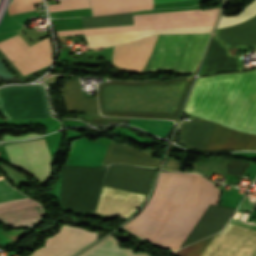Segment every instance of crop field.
I'll list each match as a JSON object with an SVG mask.
<instances>
[{
	"label": "crop field",
	"instance_id": "crop-field-29",
	"mask_svg": "<svg viewBox=\"0 0 256 256\" xmlns=\"http://www.w3.org/2000/svg\"><path fill=\"white\" fill-rule=\"evenodd\" d=\"M42 2V0H13L8 8L9 14H16L35 9L32 3Z\"/></svg>",
	"mask_w": 256,
	"mask_h": 256
},
{
	"label": "crop field",
	"instance_id": "crop-field-30",
	"mask_svg": "<svg viewBox=\"0 0 256 256\" xmlns=\"http://www.w3.org/2000/svg\"><path fill=\"white\" fill-rule=\"evenodd\" d=\"M249 164L241 161H227V174L243 176Z\"/></svg>",
	"mask_w": 256,
	"mask_h": 256
},
{
	"label": "crop field",
	"instance_id": "crop-field-28",
	"mask_svg": "<svg viewBox=\"0 0 256 256\" xmlns=\"http://www.w3.org/2000/svg\"><path fill=\"white\" fill-rule=\"evenodd\" d=\"M49 12L67 10V9H80L90 8L88 0H62L59 4L48 5Z\"/></svg>",
	"mask_w": 256,
	"mask_h": 256
},
{
	"label": "crop field",
	"instance_id": "crop-field-3",
	"mask_svg": "<svg viewBox=\"0 0 256 256\" xmlns=\"http://www.w3.org/2000/svg\"><path fill=\"white\" fill-rule=\"evenodd\" d=\"M192 77L168 82L98 84L102 115L176 120Z\"/></svg>",
	"mask_w": 256,
	"mask_h": 256
},
{
	"label": "crop field",
	"instance_id": "crop-field-10",
	"mask_svg": "<svg viewBox=\"0 0 256 256\" xmlns=\"http://www.w3.org/2000/svg\"><path fill=\"white\" fill-rule=\"evenodd\" d=\"M11 163L24 169L42 185L51 172V159L43 139L4 146Z\"/></svg>",
	"mask_w": 256,
	"mask_h": 256
},
{
	"label": "crop field",
	"instance_id": "crop-field-18",
	"mask_svg": "<svg viewBox=\"0 0 256 256\" xmlns=\"http://www.w3.org/2000/svg\"><path fill=\"white\" fill-rule=\"evenodd\" d=\"M216 36L227 48L256 47V16L239 25L217 30ZM235 49H229L230 53L234 55Z\"/></svg>",
	"mask_w": 256,
	"mask_h": 256
},
{
	"label": "crop field",
	"instance_id": "crop-field-12",
	"mask_svg": "<svg viewBox=\"0 0 256 256\" xmlns=\"http://www.w3.org/2000/svg\"><path fill=\"white\" fill-rule=\"evenodd\" d=\"M97 238V233L63 225L58 233L47 238L45 245L30 256H71Z\"/></svg>",
	"mask_w": 256,
	"mask_h": 256
},
{
	"label": "crop field",
	"instance_id": "crop-field-15",
	"mask_svg": "<svg viewBox=\"0 0 256 256\" xmlns=\"http://www.w3.org/2000/svg\"><path fill=\"white\" fill-rule=\"evenodd\" d=\"M234 210V208L209 205L180 248L222 230Z\"/></svg>",
	"mask_w": 256,
	"mask_h": 256
},
{
	"label": "crop field",
	"instance_id": "crop-field-8",
	"mask_svg": "<svg viewBox=\"0 0 256 256\" xmlns=\"http://www.w3.org/2000/svg\"><path fill=\"white\" fill-rule=\"evenodd\" d=\"M21 194L4 180H0V201ZM23 194L0 202V220L13 227H31L43 215L42 207Z\"/></svg>",
	"mask_w": 256,
	"mask_h": 256
},
{
	"label": "crop field",
	"instance_id": "crop-field-21",
	"mask_svg": "<svg viewBox=\"0 0 256 256\" xmlns=\"http://www.w3.org/2000/svg\"><path fill=\"white\" fill-rule=\"evenodd\" d=\"M62 96L67 112L85 110L99 115L96 97H83L78 79L66 80L62 88Z\"/></svg>",
	"mask_w": 256,
	"mask_h": 256
},
{
	"label": "crop field",
	"instance_id": "crop-field-13",
	"mask_svg": "<svg viewBox=\"0 0 256 256\" xmlns=\"http://www.w3.org/2000/svg\"><path fill=\"white\" fill-rule=\"evenodd\" d=\"M155 173L154 170L115 164L109 166L103 185L146 195Z\"/></svg>",
	"mask_w": 256,
	"mask_h": 256
},
{
	"label": "crop field",
	"instance_id": "crop-field-32",
	"mask_svg": "<svg viewBox=\"0 0 256 256\" xmlns=\"http://www.w3.org/2000/svg\"><path fill=\"white\" fill-rule=\"evenodd\" d=\"M3 178H4V176L2 174H0V179H3Z\"/></svg>",
	"mask_w": 256,
	"mask_h": 256
},
{
	"label": "crop field",
	"instance_id": "crop-field-24",
	"mask_svg": "<svg viewBox=\"0 0 256 256\" xmlns=\"http://www.w3.org/2000/svg\"><path fill=\"white\" fill-rule=\"evenodd\" d=\"M119 241L108 236L78 256H149L148 254H131V250L118 248Z\"/></svg>",
	"mask_w": 256,
	"mask_h": 256
},
{
	"label": "crop field",
	"instance_id": "crop-field-5",
	"mask_svg": "<svg viewBox=\"0 0 256 256\" xmlns=\"http://www.w3.org/2000/svg\"><path fill=\"white\" fill-rule=\"evenodd\" d=\"M219 8L160 12L133 15L134 25L57 31L58 36L84 33V35L141 31L171 27L212 25ZM212 26L171 28L141 32L85 36L92 47L125 43L160 33L210 32Z\"/></svg>",
	"mask_w": 256,
	"mask_h": 256
},
{
	"label": "crop field",
	"instance_id": "crop-field-23",
	"mask_svg": "<svg viewBox=\"0 0 256 256\" xmlns=\"http://www.w3.org/2000/svg\"><path fill=\"white\" fill-rule=\"evenodd\" d=\"M214 125L205 121H184L181 142L203 149Z\"/></svg>",
	"mask_w": 256,
	"mask_h": 256
},
{
	"label": "crop field",
	"instance_id": "crop-field-4",
	"mask_svg": "<svg viewBox=\"0 0 256 256\" xmlns=\"http://www.w3.org/2000/svg\"><path fill=\"white\" fill-rule=\"evenodd\" d=\"M210 34L159 35L114 47L113 64L143 72L193 74Z\"/></svg>",
	"mask_w": 256,
	"mask_h": 256
},
{
	"label": "crop field",
	"instance_id": "crop-field-11",
	"mask_svg": "<svg viewBox=\"0 0 256 256\" xmlns=\"http://www.w3.org/2000/svg\"><path fill=\"white\" fill-rule=\"evenodd\" d=\"M0 43L28 74L51 64L52 52L48 37L30 47L18 34Z\"/></svg>",
	"mask_w": 256,
	"mask_h": 256
},
{
	"label": "crop field",
	"instance_id": "crop-field-9",
	"mask_svg": "<svg viewBox=\"0 0 256 256\" xmlns=\"http://www.w3.org/2000/svg\"><path fill=\"white\" fill-rule=\"evenodd\" d=\"M201 256H256V231L228 223Z\"/></svg>",
	"mask_w": 256,
	"mask_h": 256
},
{
	"label": "crop field",
	"instance_id": "crop-field-2",
	"mask_svg": "<svg viewBox=\"0 0 256 256\" xmlns=\"http://www.w3.org/2000/svg\"><path fill=\"white\" fill-rule=\"evenodd\" d=\"M183 112L256 134V70L198 78Z\"/></svg>",
	"mask_w": 256,
	"mask_h": 256
},
{
	"label": "crop field",
	"instance_id": "crop-field-25",
	"mask_svg": "<svg viewBox=\"0 0 256 256\" xmlns=\"http://www.w3.org/2000/svg\"><path fill=\"white\" fill-rule=\"evenodd\" d=\"M130 123L139 125L160 136H166L173 125V122L150 119H130Z\"/></svg>",
	"mask_w": 256,
	"mask_h": 256
},
{
	"label": "crop field",
	"instance_id": "crop-field-7",
	"mask_svg": "<svg viewBox=\"0 0 256 256\" xmlns=\"http://www.w3.org/2000/svg\"><path fill=\"white\" fill-rule=\"evenodd\" d=\"M0 112L7 119L51 117L44 87L9 86L0 89Z\"/></svg>",
	"mask_w": 256,
	"mask_h": 256
},
{
	"label": "crop field",
	"instance_id": "crop-field-1",
	"mask_svg": "<svg viewBox=\"0 0 256 256\" xmlns=\"http://www.w3.org/2000/svg\"><path fill=\"white\" fill-rule=\"evenodd\" d=\"M154 192V191H153ZM219 191L197 174L160 173L155 192L124 227L145 239L177 250Z\"/></svg>",
	"mask_w": 256,
	"mask_h": 256
},
{
	"label": "crop field",
	"instance_id": "crop-field-22",
	"mask_svg": "<svg viewBox=\"0 0 256 256\" xmlns=\"http://www.w3.org/2000/svg\"><path fill=\"white\" fill-rule=\"evenodd\" d=\"M112 163H127L131 165L158 166V160L122 146L109 143L103 165Z\"/></svg>",
	"mask_w": 256,
	"mask_h": 256
},
{
	"label": "crop field",
	"instance_id": "crop-field-27",
	"mask_svg": "<svg viewBox=\"0 0 256 256\" xmlns=\"http://www.w3.org/2000/svg\"><path fill=\"white\" fill-rule=\"evenodd\" d=\"M215 235L208 237L206 239H203L194 244H191V245L177 251L173 255H176V256H199Z\"/></svg>",
	"mask_w": 256,
	"mask_h": 256
},
{
	"label": "crop field",
	"instance_id": "crop-field-16",
	"mask_svg": "<svg viewBox=\"0 0 256 256\" xmlns=\"http://www.w3.org/2000/svg\"><path fill=\"white\" fill-rule=\"evenodd\" d=\"M228 71H241L240 57L230 55L225 46L213 36L200 75Z\"/></svg>",
	"mask_w": 256,
	"mask_h": 256
},
{
	"label": "crop field",
	"instance_id": "crop-field-6",
	"mask_svg": "<svg viewBox=\"0 0 256 256\" xmlns=\"http://www.w3.org/2000/svg\"><path fill=\"white\" fill-rule=\"evenodd\" d=\"M106 167L64 166L60 199L63 206L93 214Z\"/></svg>",
	"mask_w": 256,
	"mask_h": 256
},
{
	"label": "crop field",
	"instance_id": "crop-field-14",
	"mask_svg": "<svg viewBox=\"0 0 256 256\" xmlns=\"http://www.w3.org/2000/svg\"><path fill=\"white\" fill-rule=\"evenodd\" d=\"M146 196L103 186L96 211L127 219Z\"/></svg>",
	"mask_w": 256,
	"mask_h": 256
},
{
	"label": "crop field",
	"instance_id": "crop-field-26",
	"mask_svg": "<svg viewBox=\"0 0 256 256\" xmlns=\"http://www.w3.org/2000/svg\"><path fill=\"white\" fill-rule=\"evenodd\" d=\"M254 15H256V0H254L251 4H249L238 15H235L232 17H225L222 15L218 28L232 26V25L241 23L244 20H246Z\"/></svg>",
	"mask_w": 256,
	"mask_h": 256
},
{
	"label": "crop field",
	"instance_id": "crop-field-20",
	"mask_svg": "<svg viewBox=\"0 0 256 256\" xmlns=\"http://www.w3.org/2000/svg\"><path fill=\"white\" fill-rule=\"evenodd\" d=\"M180 0H153V4ZM93 15L115 14L127 11L152 9V0H90Z\"/></svg>",
	"mask_w": 256,
	"mask_h": 256
},
{
	"label": "crop field",
	"instance_id": "crop-field-31",
	"mask_svg": "<svg viewBox=\"0 0 256 256\" xmlns=\"http://www.w3.org/2000/svg\"><path fill=\"white\" fill-rule=\"evenodd\" d=\"M36 136H41L40 134H30L26 136H21V137H10L8 135H4L3 139H27L31 137H36Z\"/></svg>",
	"mask_w": 256,
	"mask_h": 256
},
{
	"label": "crop field",
	"instance_id": "crop-field-17",
	"mask_svg": "<svg viewBox=\"0 0 256 256\" xmlns=\"http://www.w3.org/2000/svg\"><path fill=\"white\" fill-rule=\"evenodd\" d=\"M247 149L256 150V136L215 126L204 150Z\"/></svg>",
	"mask_w": 256,
	"mask_h": 256
},
{
	"label": "crop field",
	"instance_id": "crop-field-19",
	"mask_svg": "<svg viewBox=\"0 0 256 256\" xmlns=\"http://www.w3.org/2000/svg\"><path fill=\"white\" fill-rule=\"evenodd\" d=\"M106 145L79 139L72 142L69 165L100 166Z\"/></svg>",
	"mask_w": 256,
	"mask_h": 256
}]
</instances>
